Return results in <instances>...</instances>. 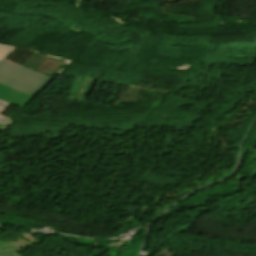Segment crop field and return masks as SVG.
Segmentation results:
<instances>
[{
    "instance_id": "crop-field-1",
    "label": "crop field",
    "mask_w": 256,
    "mask_h": 256,
    "mask_svg": "<svg viewBox=\"0 0 256 256\" xmlns=\"http://www.w3.org/2000/svg\"><path fill=\"white\" fill-rule=\"evenodd\" d=\"M51 78L8 60L0 64V83L34 97Z\"/></svg>"
},
{
    "instance_id": "crop-field-2",
    "label": "crop field",
    "mask_w": 256,
    "mask_h": 256,
    "mask_svg": "<svg viewBox=\"0 0 256 256\" xmlns=\"http://www.w3.org/2000/svg\"><path fill=\"white\" fill-rule=\"evenodd\" d=\"M0 99L23 108L32 97L0 84Z\"/></svg>"
},
{
    "instance_id": "crop-field-3",
    "label": "crop field",
    "mask_w": 256,
    "mask_h": 256,
    "mask_svg": "<svg viewBox=\"0 0 256 256\" xmlns=\"http://www.w3.org/2000/svg\"><path fill=\"white\" fill-rule=\"evenodd\" d=\"M10 104L0 100V113L4 111ZM11 120V118L0 114V130Z\"/></svg>"
},
{
    "instance_id": "crop-field-4",
    "label": "crop field",
    "mask_w": 256,
    "mask_h": 256,
    "mask_svg": "<svg viewBox=\"0 0 256 256\" xmlns=\"http://www.w3.org/2000/svg\"><path fill=\"white\" fill-rule=\"evenodd\" d=\"M13 49L11 48H5L0 46V61L8 55Z\"/></svg>"
},
{
    "instance_id": "crop-field-5",
    "label": "crop field",
    "mask_w": 256,
    "mask_h": 256,
    "mask_svg": "<svg viewBox=\"0 0 256 256\" xmlns=\"http://www.w3.org/2000/svg\"><path fill=\"white\" fill-rule=\"evenodd\" d=\"M121 244L119 245H110L109 247H119Z\"/></svg>"
},
{
    "instance_id": "crop-field-6",
    "label": "crop field",
    "mask_w": 256,
    "mask_h": 256,
    "mask_svg": "<svg viewBox=\"0 0 256 256\" xmlns=\"http://www.w3.org/2000/svg\"><path fill=\"white\" fill-rule=\"evenodd\" d=\"M123 241H130V238H129V239H125V240H123Z\"/></svg>"
}]
</instances>
